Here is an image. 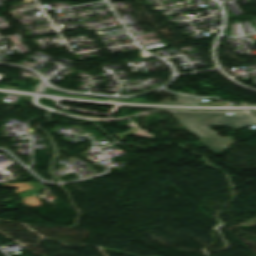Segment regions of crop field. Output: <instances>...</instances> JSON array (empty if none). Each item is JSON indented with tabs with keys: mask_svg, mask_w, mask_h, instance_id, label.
<instances>
[{
	"mask_svg": "<svg viewBox=\"0 0 256 256\" xmlns=\"http://www.w3.org/2000/svg\"><path fill=\"white\" fill-rule=\"evenodd\" d=\"M174 116L181 115L178 119L188 131L197 135L198 138L218 137V133L212 131L207 126L219 124L229 126L235 130L245 126L255 124L246 112L231 111L233 114L228 116L226 112L215 113L210 110H168Z\"/></svg>",
	"mask_w": 256,
	"mask_h": 256,
	"instance_id": "crop-field-1",
	"label": "crop field"
},
{
	"mask_svg": "<svg viewBox=\"0 0 256 256\" xmlns=\"http://www.w3.org/2000/svg\"><path fill=\"white\" fill-rule=\"evenodd\" d=\"M200 141L214 153H218L234 143V140L230 138L206 139Z\"/></svg>",
	"mask_w": 256,
	"mask_h": 256,
	"instance_id": "crop-field-2",
	"label": "crop field"
},
{
	"mask_svg": "<svg viewBox=\"0 0 256 256\" xmlns=\"http://www.w3.org/2000/svg\"><path fill=\"white\" fill-rule=\"evenodd\" d=\"M170 94L176 96V98L178 100V103H175V102H172V101H169V100H166L162 103L183 104L182 100H187L186 104H200V98L191 97V96H184V95H177V94H173V93H170Z\"/></svg>",
	"mask_w": 256,
	"mask_h": 256,
	"instance_id": "crop-field-3",
	"label": "crop field"
},
{
	"mask_svg": "<svg viewBox=\"0 0 256 256\" xmlns=\"http://www.w3.org/2000/svg\"><path fill=\"white\" fill-rule=\"evenodd\" d=\"M250 112L256 118V111H250Z\"/></svg>",
	"mask_w": 256,
	"mask_h": 256,
	"instance_id": "crop-field-4",
	"label": "crop field"
}]
</instances>
